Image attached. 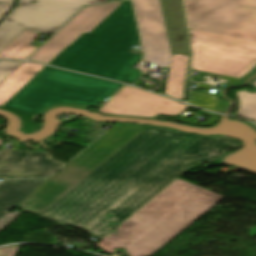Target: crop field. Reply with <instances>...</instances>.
<instances>
[{"label":"crop field","instance_id":"obj_1","mask_svg":"<svg viewBox=\"0 0 256 256\" xmlns=\"http://www.w3.org/2000/svg\"><path fill=\"white\" fill-rule=\"evenodd\" d=\"M159 195V194H158ZM224 197L176 180L96 246L106 253L124 248L130 256H151Z\"/></svg>","mask_w":256,"mask_h":256},{"label":"crop field","instance_id":"obj_2","mask_svg":"<svg viewBox=\"0 0 256 256\" xmlns=\"http://www.w3.org/2000/svg\"><path fill=\"white\" fill-rule=\"evenodd\" d=\"M138 39L132 2L124 1L50 64L132 84L143 73L131 68L141 56L128 52Z\"/></svg>","mask_w":256,"mask_h":256},{"label":"crop field","instance_id":"obj_3","mask_svg":"<svg viewBox=\"0 0 256 256\" xmlns=\"http://www.w3.org/2000/svg\"><path fill=\"white\" fill-rule=\"evenodd\" d=\"M123 86L47 66L5 106L36 115L44 108L57 103L94 106L103 100L107 101Z\"/></svg>","mask_w":256,"mask_h":256},{"label":"crop field","instance_id":"obj_4","mask_svg":"<svg viewBox=\"0 0 256 256\" xmlns=\"http://www.w3.org/2000/svg\"><path fill=\"white\" fill-rule=\"evenodd\" d=\"M240 144L241 142L236 139L212 135L199 146L201 157L160 163L83 229L99 239L102 238L110 232L106 229L109 221L120 224L188 168L198 163L219 159L227 153V148L235 149ZM106 211L115 217L107 221L104 218Z\"/></svg>","mask_w":256,"mask_h":256},{"label":"crop field","instance_id":"obj_5","mask_svg":"<svg viewBox=\"0 0 256 256\" xmlns=\"http://www.w3.org/2000/svg\"><path fill=\"white\" fill-rule=\"evenodd\" d=\"M208 137L173 130L92 196L63 224L82 228L160 162L200 156L198 146Z\"/></svg>","mask_w":256,"mask_h":256},{"label":"crop field","instance_id":"obj_6","mask_svg":"<svg viewBox=\"0 0 256 256\" xmlns=\"http://www.w3.org/2000/svg\"><path fill=\"white\" fill-rule=\"evenodd\" d=\"M146 126L118 124L42 187L24 200L20 210L39 215Z\"/></svg>","mask_w":256,"mask_h":256},{"label":"crop field","instance_id":"obj_7","mask_svg":"<svg viewBox=\"0 0 256 256\" xmlns=\"http://www.w3.org/2000/svg\"><path fill=\"white\" fill-rule=\"evenodd\" d=\"M170 131L172 130L147 126L40 214V216L62 223L92 195Z\"/></svg>","mask_w":256,"mask_h":256},{"label":"crop field","instance_id":"obj_8","mask_svg":"<svg viewBox=\"0 0 256 256\" xmlns=\"http://www.w3.org/2000/svg\"><path fill=\"white\" fill-rule=\"evenodd\" d=\"M193 67L246 79L256 71V41L189 29Z\"/></svg>","mask_w":256,"mask_h":256},{"label":"crop field","instance_id":"obj_9","mask_svg":"<svg viewBox=\"0 0 256 256\" xmlns=\"http://www.w3.org/2000/svg\"><path fill=\"white\" fill-rule=\"evenodd\" d=\"M107 1L19 0V5L0 23V52L26 28L35 32L54 34L84 5Z\"/></svg>","mask_w":256,"mask_h":256},{"label":"crop field","instance_id":"obj_10","mask_svg":"<svg viewBox=\"0 0 256 256\" xmlns=\"http://www.w3.org/2000/svg\"><path fill=\"white\" fill-rule=\"evenodd\" d=\"M189 28L256 40V0H188Z\"/></svg>","mask_w":256,"mask_h":256},{"label":"crop field","instance_id":"obj_11","mask_svg":"<svg viewBox=\"0 0 256 256\" xmlns=\"http://www.w3.org/2000/svg\"><path fill=\"white\" fill-rule=\"evenodd\" d=\"M145 48V61L169 68L172 51L160 0H134Z\"/></svg>","mask_w":256,"mask_h":256},{"label":"crop field","instance_id":"obj_12","mask_svg":"<svg viewBox=\"0 0 256 256\" xmlns=\"http://www.w3.org/2000/svg\"><path fill=\"white\" fill-rule=\"evenodd\" d=\"M187 105L151 92L126 86L98 111L106 114L155 117L159 113L178 115Z\"/></svg>","mask_w":256,"mask_h":256},{"label":"crop field","instance_id":"obj_13","mask_svg":"<svg viewBox=\"0 0 256 256\" xmlns=\"http://www.w3.org/2000/svg\"><path fill=\"white\" fill-rule=\"evenodd\" d=\"M122 2L123 1L90 6L83 9L36 53H34L29 60L49 63L84 32L90 33Z\"/></svg>","mask_w":256,"mask_h":256},{"label":"crop field","instance_id":"obj_14","mask_svg":"<svg viewBox=\"0 0 256 256\" xmlns=\"http://www.w3.org/2000/svg\"><path fill=\"white\" fill-rule=\"evenodd\" d=\"M63 164L48 152L0 150V178H46Z\"/></svg>","mask_w":256,"mask_h":256},{"label":"crop field","instance_id":"obj_15","mask_svg":"<svg viewBox=\"0 0 256 256\" xmlns=\"http://www.w3.org/2000/svg\"><path fill=\"white\" fill-rule=\"evenodd\" d=\"M173 53L191 55L182 0H161Z\"/></svg>","mask_w":256,"mask_h":256},{"label":"crop field","instance_id":"obj_16","mask_svg":"<svg viewBox=\"0 0 256 256\" xmlns=\"http://www.w3.org/2000/svg\"><path fill=\"white\" fill-rule=\"evenodd\" d=\"M46 180H10L0 185V218Z\"/></svg>","mask_w":256,"mask_h":256},{"label":"crop field","instance_id":"obj_17","mask_svg":"<svg viewBox=\"0 0 256 256\" xmlns=\"http://www.w3.org/2000/svg\"><path fill=\"white\" fill-rule=\"evenodd\" d=\"M191 56L173 54L164 94L185 101Z\"/></svg>","mask_w":256,"mask_h":256},{"label":"crop field","instance_id":"obj_18","mask_svg":"<svg viewBox=\"0 0 256 256\" xmlns=\"http://www.w3.org/2000/svg\"><path fill=\"white\" fill-rule=\"evenodd\" d=\"M45 65L24 62L0 84V107L20 91Z\"/></svg>","mask_w":256,"mask_h":256},{"label":"crop field","instance_id":"obj_19","mask_svg":"<svg viewBox=\"0 0 256 256\" xmlns=\"http://www.w3.org/2000/svg\"><path fill=\"white\" fill-rule=\"evenodd\" d=\"M42 34L26 29L5 50L0 53V58L27 59L37 49L30 45Z\"/></svg>","mask_w":256,"mask_h":256},{"label":"crop field","instance_id":"obj_20","mask_svg":"<svg viewBox=\"0 0 256 256\" xmlns=\"http://www.w3.org/2000/svg\"><path fill=\"white\" fill-rule=\"evenodd\" d=\"M250 85L256 88V80ZM240 104L236 116L256 121V89L237 92Z\"/></svg>","mask_w":256,"mask_h":256},{"label":"crop field","instance_id":"obj_21","mask_svg":"<svg viewBox=\"0 0 256 256\" xmlns=\"http://www.w3.org/2000/svg\"><path fill=\"white\" fill-rule=\"evenodd\" d=\"M22 63L17 61H0V83Z\"/></svg>","mask_w":256,"mask_h":256},{"label":"crop field","instance_id":"obj_22","mask_svg":"<svg viewBox=\"0 0 256 256\" xmlns=\"http://www.w3.org/2000/svg\"><path fill=\"white\" fill-rule=\"evenodd\" d=\"M200 113H204L206 115L211 116L209 119H207L206 121H204L203 123L199 124L193 120L190 119H186L185 117L181 116L180 118H178V121H182L188 124H192V125H198V126H208V125H212L214 123H216L219 120V115L218 114H214V113H210L207 111H203L201 110Z\"/></svg>","mask_w":256,"mask_h":256},{"label":"crop field","instance_id":"obj_23","mask_svg":"<svg viewBox=\"0 0 256 256\" xmlns=\"http://www.w3.org/2000/svg\"><path fill=\"white\" fill-rule=\"evenodd\" d=\"M21 245L0 248V256H16Z\"/></svg>","mask_w":256,"mask_h":256},{"label":"crop field","instance_id":"obj_24","mask_svg":"<svg viewBox=\"0 0 256 256\" xmlns=\"http://www.w3.org/2000/svg\"><path fill=\"white\" fill-rule=\"evenodd\" d=\"M13 5L0 4V19L12 8Z\"/></svg>","mask_w":256,"mask_h":256},{"label":"crop field","instance_id":"obj_25","mask_svg":"<svg viewBox=\"0 0 256 256\" xmlns=\"http://www.w3.org/2000/svg\"><path fill=\"white\" fill-rule=\"evenodd\" d=\"M0 3L12 4V3H13V0H0Z\"/></svg>","mask_w":256,"mask_h":256},{"label":"crop field","instance_id":"obj_26","mask_svg":"<svg viewBox=\"0 0 256 256\" xmlns=\"http://www.w3.org/2000/svg\"><path fill=\"white\" fill-rule=\"evenodd\" d=\"M3 141L0 139V144L2 143Z\"/></svg>","mask_w":256,"mask_h":256}]
</instances>
